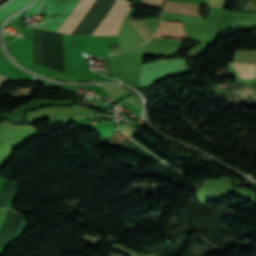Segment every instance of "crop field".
<instances>
[{
    "mask_svg": "<svg viewBox=\"0 0 256 256\" xmlns=\"http://www.w3.org/2000/svg\"><path fill=\"white\" fill-rule=\"evenodd\" d=\"M94 0H80L72 12L58 26L55 31L69 34L80 19L89 10ZM130 10L129 2L125 0H116L107 16L93 30L90 35H117L121 23Z\"/></svg>",
    "mask_w": 256,
    "mask_h": 256,
    "instance_id": "8a807250",
    "label": "crop field"
},
{
    "mask_svg": "<svg viewBox=\"0 0 256 256\" xmlns=\"http://www.w3.org/2000/svg\"><path fill=\"white\" fill-rule=\"evenodd\" d=\"M154 36L186 39L182 23L162 22Z\"/></svg>",
    "mask_w": 256,
    "mask_h": 256,
    "instance_id": "ac0d7876",
    "label": "crop field"
},
{
    "mask_svg": "<svg viewBox=\"0 0 256 256\" xmlns=\"http://www.w3.org/2000/svg\"><path fill=\"white\" fill-rule=\"evenodd\" d=\"M243 79L256 78V66L232 63Z\"/></svg>",
    "mask_w": 256,
    "mask_h": 256,
    "instance_id": "34b2d1b8",
    "label": "crop field"
},
{
    "mask_svg": "<svg viewBox=\"0 0 256 256\" xmlns=\"http://www.w3.org/2000/svg\"><path fill=\"white\" fill-rule=\"evenodd\" d=\"M121 29L129 36V38L137 46L144 44V42L134 33V31L125 22H123Z\"/></svg>",
    "mask_w": 256,
    "mask_h": 256,
    "instance_id": "412701ff",
    "label": "crop field"
},
{
    "mask_svg": "<svg viewBox=\"0 0 256 256\" xmlns=\"http://www.w3.org/2000/svg\"><path fill=\"white\" fill-rule=\"evenodd\" d=\"M164 0H142L141 2L143 3H147L149 5H153V6H162Z\"/></svg>",
    "mask_w": 256,
    "mask_h": 256,
    "instance_id": "f4fd0767",
    "label": "crop field"
},
{
    "mask_svg": "<svg viewBox=\"0 0 256 256\" xmlns=\"http://www.w3.org/2000/svg\"><path fill=\"white\" fill-rule=\"evenodd\" d=\"M6 211L7 210H4V209L0 208V228H1V225H2V222H3Z\"/></svg>",
    "mask_w": 256,
    "mask_h": 256,
    "instance_id": "dd49c442",
    "label": "crop field"
},
{
    "mask_svg": "<svg viewBox=\"0 0 256 256\" xmlns=\"http://www.w3.org/2000/svg\"><path fill=\"white\" fill-rule=\"evenodd\" d=\"M179 1L192 2V3L199 4V2H200L201 0H179Z\"/></svg>",
    "mask_w": 256,
    "mask_h": 256,
    "instance_id": "e52e79f7",
    "label": "crop field"
},
{
    "mask_svg": "<svg viewBox=\"0 0 256 256\" xmlns=\"http://www.w3.org/2000/svg\"><path fill=\"white\" fill-rule=\"evenodd\" d=\"M3 0H0V2H2Z\"/></svg>",
    "mask_w": 256,
    "mask_h": 256,
    "instance_id": "d8731c3e",
    "label": "crop field"
}]
</instances>
